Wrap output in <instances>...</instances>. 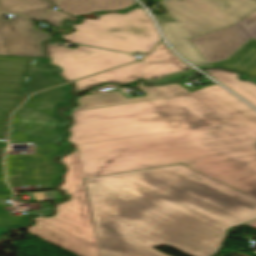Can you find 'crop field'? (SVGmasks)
<instances>
[{"instance_id": "obj_1", "label": "crop field", "mask_w": 256, "mask_h": 256, "mask_svg": "<svg viewBox=\"0 0 256 256\" xmlns=\"http://www.w3.org/2000/svg\"><path fill=\"white\" fill-rule=\"evenodd\" d=\"M85 182L101 256H167L158 245L210 256L228 228L256 219V199L183 164Z\"/></svg>"}, {"instance_id": "obj_2", "label": "crop field", "mask_w": 256, "mask_h": 256, "mask_svg": "<svg viewBox=\"0 0 256 256\" xmlns=\"http://www.w3.org/2000/svg\"><path fill=\"white\" fill-rule=\"evenodd\" d=\"M77 146L85 179L186 161L197 171L248 165L256 121Z\"/></svg>"}, {"instance_id": "obj_3", "label": "crop field", "mask_w": 256, "mask_h": 256, "mask_svg": "<svg viewBox=\"0 0 256 256\" xmlns=\"http://www.w3.org/2000/svg\"><path fill=\"white\" fill-rule=\"evenodd\" d=\"M68 142L94 143L256 120V111L218 85L150 102L71 112Z\"/></svg>"}, {"instance_id": "obj_4", "label": "crop field", "mask_w": 256, "mask_h": 256, "mask_svg": "<svg viewBox=\"0 0 256 256\" xmlns=\"http://www.w3.org/2000/svg\"><path fill=\"white\" fill-rule=\"evenodd\" d=\"M176 21L161 24L168 41L196 66L206 60L190 39L230 27L256 11L255 0H166Z\"/></svg>"}, {"instance_id": "obj_5", "label": "crop field", "mask_w": 256, "mask_h": 256, "mask_svg": "<svg viewBox=\"0 0 256 256\" xmlns=\"http://www.w3.org/2000/svg\"><path fill=\"white\" fill-rule=\"evenodd\" d=\"M61 162L69 171L60 188L71 200L56 206L55 217L39 218L29 230L81 256H100L78 149Z\"/></svg>"}, {"instance_id": "obj_6", "label": "crop field", "mask_w": 256, "mask_h": 256, "mask_svg": "<svg viewBox=\"0 0 256 256\" xmlns=\"http://www.w3.org/2000/svg\"><path fill=\"white\" fill-rule=\"evenodd\" d=\"M99 20L83 19L81 25L70 24L77 31L62 35L65 41L100 48L134 53H148L161 40L144 9L137 8L127 15L108 13Z\"/></svg>"}, {"instance_id": "obj_7", "label": "crop field", "mask_w": 256, "mask_h": 256, "mask_svg": "<svg viewBox=\"0 0 256 256\" xmlns=\"http://www.w3.org/2000/svg\"><path fill=\"white\" fill-rule=\"evenodd\" d=\"M48 57L52 59V66L63 69L60 76L66 80L80 79L101 71H105L126 63L135 61L133 55L78 46L75 49L46 44Z\"/></svg>"}, {"instance_id": "obj_8", "label": "crop field", "mask_w": 256, "mask_h": 256, "mask_svg": "<svg viewBox=\"0 0 256 256\" xmlns=\"http://www.w3.org/2000/svg\"><path fill=\"white\" fill-rule=\"evenodd\" d=\"M0 13V25L8 55L44 57L42 41L52 38L50 34L34 30L32 20L19 15L5 21Z\"/></svg>"}, {"instance_id": "obj_9", "label": "crop field", "mask_w": 256, "mask_h": 256, "mask_svg": "<svg viewBox=\"0 0 256 256\" xmlns=\"http://www.w3.org/2000/svg\"><path fill=\"white\" fill-rule=\"evenodd\" d=\"M189 68L187 64L135 62L99 75L75 82L76 91L105 82L126 84L138 79H147Z\"/></svg>"}, {"instance_id": "obj_10", "label": "crop field", "mask_w": 256, "mask_h": 256, "mask_svg": "<svg viewBox=\"0 0 256 256\" xmlns=\"http://www.w3.org/2000/svg\"><path fill=\"white\" fill-rule=\"evenodd\" d=\"M105 88V87H102ZM148 96L131 98L127 99L120 92H108L101 94L99 89L94 90L90 94L79 97L78 102L80 104L79 107L71 110H84L90 108L104 107V106H112V105H120V104H128V103H136L143 102L149 100L170 98V97H178L181 95H185L190 93L185 88L181 87L178 84H171L166 86H150L147 87L143 83L137 87Z\"/></svg>"}, {"instance_id": "obj_11", "label": "crop field", "mask_w": 256, "mask_h": 256, "mask_svg": "<svg viewBox=\"0 0 256 256\" xmlns=\"http://www.w3.org/2000/svg\"><path fill=\"white\" fill-rule=\"evenodd\" d=\"M249 38H252L251 35L240 22L230 28L192 39V42L207 62H213L227 58Z\"/></svg>"}, {"instance_id": "obj_12", "label": "crop field", "mask_w": 256, "mask_h": 256, "mask_svg": "<svg viewBox=\"0 0 256 256\" xmlns=\"http://www.w3.org/2000/svg\"><path fill=\"white\" fill-rule=\"evenodd\" d=\"M202 173L243 193L256 189V164L202 171Z\"/></svg>"}, {"instance_id": "obj_13", "label": "crop field", "mask_w": 256, "mask_h": 256, "mask_svg": "<svg viewBox=\"0 0 256 256\" xmlns=\"http://www.w3.org/2000/svg\"><path fill=\"white\" fill-rule=\"evenodd\" d=\"M133 4L134 0H63L56 6L64 12L78 16L92 11L123 10Z\"/></svg>"}, {"instance_id": "obj_14", "label": "crop field", "mask_w": 256, "mask_h": 256, "mask_svg": "<svg viewBox=\"0 0 256 256\" xmlns=\"http://www.w3.org/2000/svg\"><path fill=\"white\" fill-rule=\"evenodd\" d=\"M256 77V40H250L227 61L211 64Z\"/></svg>"}, {"instance_id": "obj_15", "label": "crop field", "mask_w": 256, "mask_h": 256, "mask_svg": "<svg viewBox=\"0 0 256 256\" xmlns=\"http://www.w3.org/2000/svg\"><path fill=\"white\" fill-rule=\"evenodd\" d=\"M51 6L46 0H0V11L17 13L35 20L42 18Z\"/></svg>"}, {"instance_id": "obj_16", "label": "crop field", "mask_w": 256, "mask_h": 256, "mask_svg": "<svg viewBox=\"0 0 256 256\" xmlns=\"http://www.w3.org/2000/svg\"><path fill=\"white\" fill-rule=\"evenodd\" d=\"M207 72L256 107V84L249 81L242 82L237 78L238 74L225 70H209Z\"/></svg>"}, {"instance_id": "obj_17", "label": "crop field", "mask_w": 256, "mask_h": 256, "mask_svg": "<svg viewBox=\"0 0 256 256\" xmlns=\"http://www.w3.org/2000/svg\"><path fill=\"white\" fill-rule=\"evenodd\" d=\"M142 61L183 63L165 44H160L154 52Z\"/></svg>"}, {"instance_id": "obj_18", "label": "crop field", "mask_w": 256, "mask_h": 256, "mask_svg": "<svg viewBox=\"0 0 256 256\" xmlns=\"http://www.w3.org/2000/svg\"><path fill=\"white\" fill-rule=\"evenodd\" d=\"M66 19H70L72 21H76L77 18L66 14V13H62L56 10H51L47 16L43 19V21L49 22L51 23L50 25L58 27L61 26L63 21Z\"/></svg>"}, {"instance_id": "obj_19", "label": "crop field", "mask_w": 256, "mask_h": 256, "mask_svg": "<svg viewBox=\"0 0 256 256\" xmlns=\"http://www.w3.org/2000/svg\"><path fill=\"white\" fill-rule=\"evenodd\" d=\"M253 38H256V12L241 21Z\"/></svg>"}, {"instance_id": "obj_20", "label": "crop field", "mask_w": 256, "mask_h": 256, "mask_svg": "<svg viewBox=\"0 0 256 256\" xmlns=\"http://www.w3.org/2000/svg\"><path fill=\"white\" fill-rule=\"evenodd\" d=\"M194 73H195V70H191V71H186V72H182V73H178V74H174V75H170V76H166V77L150 80V81H147V82L148 83L166 82V81L172 80V79H174V78H176L178 76H184L186 78H191Z\"/></svg>"}, {"instance_id": "obj_21", "label": "crop field", "mask_w": 256, "mask_h": 256, "mask_svg": "<svg viewBox=\"0 0 256 256\" xmlns=\"http://www.w3.org/2000/svg\"><path fill=\"white\" fill-rule=\"evenodd\" d=\"M0 55H7L5 46H4V42H3V38H2L1 29H0Z\"/></svg>"}, {"instance_id": "obj_22", "label": "crop field", "mask_w": 256, "mask_h": 256, "mask_svg": "<svg viewBox=\"0 0 256 256\" xmlns=\"http://www.w3.org/2000/svg\"><path fill=\"white\" fill-rule=\"evenodd\" d=\"M8 127H9V125L5 126V131H4L5 138H8ZM0 141H7V139H0Z\"/></svg>"}, {"instance_id": "obj_23", "label": "crop field", "mask_w": 256, "mask_h": 256, "mask_svg": "<svg viewBox=\"0 0 256 256\" xmlns=\"http://www.w3.org/2000/svg\"><path fill=\"white\" fill-rule=\"evenodd\" d=\"M11 228H0V236L4 233H6L7 231H9Z\"/></svg>"}, {"instance_id": "obj_24", "label": "crop field", "mask_w": 256, "mask_h": 256, "mask_svg": "<svg viewBox=\"0 0 256 256\" xmlns=\"http://www.w3.org/2000/svg\"><path fill=\"white\" fill-rule=\"evenodd\" d=\"M246 194H248V195H250V196H252V197L256 198V190L251 191V192L246 193Z\"/></svg>"}, {"instance_id": "obj_25", "label": "crop field", "mask_w": 256, "mask_h": 256, "mask_svg": "<svg viewBox=\"0 0 256 256\" xmlns=\"http://www.w3.org/2000/svg\"><path fill=\"white\" fill-rule=\"evenodd\" d=\"M252 227L256 228V222L249 223Z\"/></svg>"}, {"instance_id": "obj_26", "label": "crop field", "mask_w": 256, "mask_h": 256, "mask_svg": "<svg viewBox=\"0 0 256 256\" xmlns=\"http://www.w3.org/2000/svg\"><path fill=\"white\" fill-rule=\"evenodd\" d=\"M36 154H40L39 148H36Z\"/></svg>"}, {"instance_id": "obj_27", "label": "crop field", "mask_w": 256, "mask_h": 256, "mask_svg": "<svg viewBox=\"0 0 256 256\" xmlns=\"http://www.w3.org/2000/svg\"><path fill=\"white\" fill-rule=\"evenodd\" d=\"M4 152H5V149H3V151H2V156H1L2 159L4 157Z\"/></svg>"}, {"instance_id": "obj_28", "label": "crop field", "mask_w": 256, "mask_h": 256, "mask_svg": "<svg viewBox=\"0 0 256 256\" xmlns=\"http://www.w3.org/2000/svg\"><path fill=\"white\" fill-rule=\"evenodd\" d=\"M50 1H52V2L56 3V2H58V1H60V0H50Z\"/></svg>"}, {"instance_id": "obj_29", "label": "crop field", "mask_w": 256, "mask_h": 256, "mask_svg": "<svg viewBox=\"0 0 256 256\" xmlns=\"http://www.w3.org/2000/svg\"><path fill=\"white\" fill-rule=\"evenodd\" d=\"M161 1V0H160Z\"/></svg>"}]
</instances>
